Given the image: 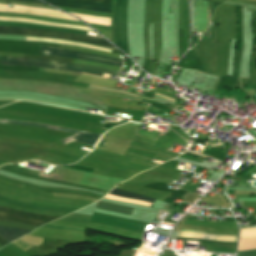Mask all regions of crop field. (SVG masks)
I'll use <instances>...</instances> for the list:
<instances>
[{
    "label": "crop field",
    "mask_w": 256,
    "mask_h": 256,
    "mask_svg": "<svg viewBox=\"0 0 256 256\" xmlns=\"http://www.w3.org/2000/svg\"><path fill=\"white\" fill-rule=\"evenodd\" d=\"M0 64L38 66V67L51 68V69L84 72V73L97 75V76H102L103 73L114 74V75L118 74L117 71H111V70L87 67V66H81V65H74V64H66V63H60V62L50 61V60H41V59H25V58L0 56ZM103 77H108V75L104 74Z\"/></svg>",
    "instance_id": "8a807250"
},
{
    "label": "crop field",
    "mask_w": 256,
    "mask_h": 256,
    "mask_svg": "<svg viewBox=\"0 0 256 256\" xmlns=\"http://www.w3.org/2000/svg\"><path fill=\"white\" fill-rule=\"evenodd\" d=\"M0 123L49 128V129H55V130H60V131H65V132L77 134L75 136H71V137H68V138H65V139L61 140V142L64 145L69 143V142L75 141V142H78V143H82V144L94 147L96 142L98 141V139L101 136L99 134L87 133V132H82V131H77V130H72V129H67V128H61V127H55V126L38 124V123H31V122L14 121V120H0Z\"/></svg>",
    "instance_id": "34b2d1b8"
},
{
    "label": "crop field",
    "mask_w": 256,
    "mask_h": 256,
    "mask_svg": "<svg viewBox=\"0 0 256 256\" xmlns=\"http://www.w3.org/2000/svg\"><path fill=\"white\" fill-rule=\"evenodd\" d=\"M41 55L67 56V57L77 58L81 60L107 63V64L119 66V67H121L124 62V60H119V59L110 58V57H102V56L81 53V52L58 50V49H51V48H45V47H41Z\"/></svg>",
    "instance_id": "f4fd0767"
},
{
    "label": "crop field",
    "mask_w": 256,
    "mask_h": 256,
    "mask_svg": "<svg viewBox=\"0 0 256 256\" xmlns=\"http://www.w3.org/2000/svg\"><path fill=\"white\" fill-rule=\"evenodd\" d=\"M42 227L52 228V229H59V230L83 231V232H85V230H86V229H81V228L61 227V226H52V225H45V226H42Z\"/></svg>",
    "instance_id": "d1516ede"
},
{
    "label": "crop field",
    "mask_w": 256,
    "mask_h": 256,
    "mask_svg": "<svg viewBox=\"0 0 256 256\" xmlns=\"http://www.w3.org/2000/svg\"><path fill=\"white\" fill-rule=\"evenodd\" d=\"M81 1H90V2H95V3H105L111 5L112 0H81Z\"/></svg>",
    "instance_id": "cbeb9de0"
},
{
    "label": "crop field",
    "mask_w": 256,
    "mask_h": 256,
    "mask_svg": "<svg viewBox=\"0 0 256 256\" xmlns=\"http://www.w3.org/2000/svg\"><path fill=\"white\" fill-rule=\"evenodd\" d=\"M181 230H184V229H181ZM184 231H191V230H184ZM192 232L207 233V232H201V231H192Z\"/></svg>",
    "instance_id": "733c2abd"
},
{
    "label": "crop field",
    "mask_w": 256,
    "mask_h": 256,
    "mask_svg": "<svg viewBox=\"0 0 256 256\" xmlns=\"http://www.w3.org/2000/svg\"><path fill=\"white\" fill-rule=\"evenodd\" d=\"M97 207L126 214H131V211L133 209L130 207L117 206L103 202H98Z\"/></svg>",
    "instance_id": "d8731c3e"
},
{
    "label": "crop field",
    "mask_w": 256,
    "mask_h": 256,
    "mask_svg": "<svg viewBox=\"0 0 256 256\" xmlns=\"http://www.w3.org/2000/svg\"><path fill=\"white\" fill-rule=\"evenodd\" d=\"M50 1L64 2V3H71V4L90 5V6H96V7H103V8H110L111 9V6L105 5V4H94V3H89V2L70 1V0H50Z\"/></svg>",
    "instance_id": "28ad6ade"
},
{
    "label": "crop field",
    "mask_w": 256,
    "mask_h": 256,
    "mask_svg": "<svg viewBox=\"0 0 256 256\" xmlns=\"http://www.w3.org/2000/svg\"><path fill=\"white\" fill-rule=\"evenodd\" d=\"M110 193L118 195V196L130 198V199L142 200V201H147V202H151V203L154 202V199L144 197V196H140V195H136V194L129 193V192H125V191H121V190H117V189H114Z\"/></svg>",
    "instance_id": "5a996713"
},
{
    "label": "crop field",
    "mask_w": 256,
    "mask_h": 256,
    "mask_svg": "<svg viewBox=\"0 0 256 256\" xmlns=\"http://www.w3.org/2000/svg\"><path fill=\"white\" fill-rule=\"evenodd\" d=\"M0 244H2L3 246L9 244L8 242H6L3 238L0 237Z\"/></svg>",
    "instance_id": "d9b57169"
},
{
    "label": "crop field",
    "mask_w": 256,
    "mask_h": 256,
    "mask_svg": "<svg viewBox=\"0 0 256 256\" xmlns=\"http://www.w3.org/2000/svg\"><path fill=\"white\" fill-rule=\"evenodd\" d=\"M47 3L52 4V5H57V6L68 7V8H76V9H84V10H92V11H98V12H104V13H111V10H106V9L96 8V7L78 6V5H70V4L54 3V2H47Z\"/></svg>",
    "instance_id": "3316defc"
},
{
    "label": "crop field",
    "mask_w": 256,
    "mask_h": 256,
    "mask_svg": "<svg viewBox=\"0 0 256 256\" xmlns=\"http://www.w3.org/2000/svg\"><path fill=\"white\" fill-rule=\"evenodd\" d=\"M15 1H22V2H34V3H38V4H44L38 0H15Z\"/></svg>",
    "instance_id": "5142ce71"
},
{
    "label": "crop field",
    "mask_w": 256,
    "mask_h": 256,
    "mask_svg": "<svg viewBox=\"0 0 256 256\" xmlns=\"http://www.w3.org/2000/svg\"><path fill=\"white\" fill-rule=\"evenodd\" d=\"M57 217L41 216L23 211L0 207V221L15 222L39 227Z\"/></svg>",
    "instance_id": "412701ff"
},
{
    "label": "crop field",
    "mask_w": 256,
    "mask_h": 256,
    "mask_svg": "<svg viewBox=\"0 0 256 256\" xmlns=\"http://www.w3.org/2000/svg\"><path fill=\"white\" fill-rule=\"evenodd\" d=\"M238 256H256V249L240 251V252H238Z\"/></svg>",
    "instance_id": "22f410ed"
},
{
    "label": "crop field",
    "mask_w": 256,
    "mask_h": 256,
    "mask_svg": "<svg viewBox=\"0 0 256 256\" xmlns=\"http://www.w3.org/2000/svg\"><path fill=\"white\" fill-rule=\"evenodd\" d=\"M29 232L30 231H24V230H19V229H15V228L0 227V236L5 238L9 242H11Z\"/></svg>",
    "instance_id": "e52e79f7"
},
{
    "label": "crop field",
    "mask_w": 256,
    "mask_h": 256,
    "mask_svg": "<svg viewBox=\"0 0 256 256\" xmlns=\"http://www.w3.org/2000/svg\"><path fill=\"white\" fill-rule=\"evenodd\" d=\"M0 34H19V35H34V36L61 38V39L82 41V42H87L95 45L116 49L105 39L83 36L78 34L44 31V30L27 29V28H16V27H0Z\"/></svg>",
    "instance_id": "ac0d7876"
},
{
    "label": "crop field",
    "mask_w": 256,
    "mask_h": 256,
    "mask_svg": "<svg viewBox=\"0 0 256 256\" xmlns=\"http://www.w3.org/2000/svg\"><path fill=\"white\" fill-rule=\"evenodd\" d=\"M0 25L20 26V27H29V28H38V29L56 30V31H67V32H74V33H80V34H85V35H87V33H88V31H84V30L68 29V28H61V27H54V26H44V25L22 23V22L0 21Z\"/></svg>",
    "instance_id": "dd49c442"
}]
</instances>
